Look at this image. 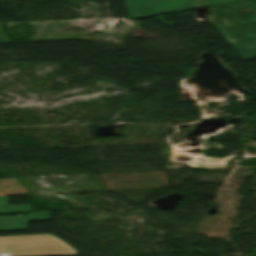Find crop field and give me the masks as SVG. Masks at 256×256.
<instances>
[{
  "instance_id": "obj_1",
  "label": "crop field",
  "mask_w": 256,
  "mask_h": 256,
  "mask_svg": "<svg viewBox=\"0 0 256 256\" xmlns=\"http://www.w3.org/2000/svg\"><path fill=\"white\" fill-rule=\"evenodd\" d=\"M255 0H240L210 7L211 19L230 43L256 38ZM244 20L245 23H241Z\"/></svg>"
},
{
  "instance_id": "obj_5",
  "label": "crop field",
  "mask_w": 256,
  "mask_h": 256,
  "mask_svg": "<svg viewBox=\"0 0 256 256\" xmlns=\"http://www.w3.org/2000/svg\"><path fill=\"white\" fill-rule=\"evenodd\" d=\"M244 59L256 57V39L232 44Z\"/></svg>"
},
{
  "instance_id": "obj_2",
  "label": "crop field",
  "mask_w": 256,
  "mask_h": 256,
  "mask_svg": "<svg viewBox=\"0 0 256 256\" xmlns=\"http://www.w3.org/2000/svg\"><path fill=\"white\" fill-rule=\"evenodd\" d=\"M80 254L52 234L0 236V256H54Z\"/></svg>"
},
{
  "instance_id": "obj_4",
  "label": "crop field",
  "mask_w": 256,
  "mask_h": 256,
  "mask_svg": "<svg viewBox=\"0 0 256 256\" xmlns=\"http://www.w3.org/2000/svg\"><path fill=\"white\" fill-rule=\"evenodd\" d=\"M51 220L50 212H32L27 216L0 217V231L28 229V221Z\"/></svg>"
},
{
  "instance_id": "obj_3",
  "label": "crop field",
  "mask_w": 256,
  "mask_h": 256,
  "mask_svg": "<svg viewBox=\"0 0 256 256\" xmlns=\"http://www.w3.org/2000/svg\"><path fill=\"white\" fill-rule=\"evenodd\" d=\"M235 0H125L130 17L139 18Z\"/></svg>"
},
{
  "instance_id": "obj_6",
  "label": "crop field",
  "mask_w": 256,
  "mask_h": 256,
  "mask_svg": "<svg viewBox=\"0 0 256 256\" xmlns=\"http://www.w3.org/2000/svg\"><path fill=\"white\" fill-rule=\"evenodd\" d=\"M28 211H31V205L10 206L8 197H0V213L28 212Z\"/></svg>"
}]
</instances>
